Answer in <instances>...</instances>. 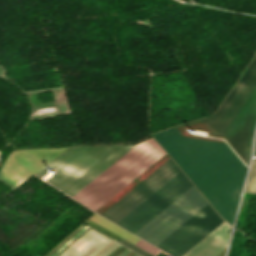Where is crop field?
<instances>
[{
    "instance_id": "1",
    "label": "crop field",
    "mask_w": 256,
    "mask_h": 256,
    "mask_svg": "<svg viewBox=\"0 0 256 256\" xmlns=\"http://www.w3.org/2000/svg\"><path fill=\"white\" fill-rule=\"evenodd\" d=\"M201 120L249 163L256 125V57L215 114ZM153 137L232 225L247 168L230 147L181 136L175 127Z\"/></svg>"
},
{
    "instance_id": "2",
    "label": "crop field",
    "mask_w": 256,
    "mask_h": 256,
    "mask_svg": "<svg viewBox=\"0 0 256 256\" xmlns=\"http://www.w3.org/2000/svg\"><path fill=\"white\" fill-rule=\"evenodd\" d=\"M132 146L67 148L35 175L41 178L55 169L46 182L72 197Z\"/></svg>"
},
{
    "instance_id": "3",
    "label": "crop field",
    "mask_w": 256,
    "mask_h": 256,
    "mask_svg": "<svg viewBox=\"0 0 256 256\" xmlns=\"http://www.w3.org/2000/svg\"><path fill=\"white\" fill-rule=\"evenodd\" d=\"M164 154L150 138L132 148L72 198L96 211Z\"/></svg>"
},
{
    "instance_id": "4",
    "label": "crop field",
    "mask_w": 256,
    "mask_h": 256,
    "mask_svg": "<svg viewBox=\"0 0 256 256\" xmlns=\"http://www.w3.org/2000/svg\"><path fill=\"white\" fill-rule=\"evenodd\" d=\"M205 204L193 185L134 234L156 246Z\"/></svg>"
},
{
    "instance_id": "5",
    "label": "crop field",
    "mask_w": 256,
    "mask_h": 256,
    "mask_svg": "<svg viewBox=\"0 0 256 256\" xmlns=\"http://www.w3.org/2000/svg\"><path fill=\"white\" fill-rule=\"evenodd\" d=\"M223 222L208 204L156 247L172 256H183Z\"/></svg>"
},
{
    "instance_id": "6",
    "label": "crop field",
    "mask_w": 256,
    "mask_h": 256,
    "mask_svg": "<svg viewBox=\"0 0 256 256\" xmlns=\"http://www.w3.org/2000/svg\"><path fill=\"white\" fill-rule=\"evenodd\" d=\"M192 185L181 171L117 224L134 233Z\"/></svg>"
},
{
    "instance_id": "7",
    "label": "crop field",
    "mask_w": 256,
    "mask_h": 256,
    "mask_svg": "<svg viewBox=\"0 0 256 256\" xmlns=\"http://www.w3.org/2000/svg\"><path fill=\"white\" fill-rule=\"evenodd\" d=\"M66 148L13 151L0 173V180L16 188Z\"/></svg>"
},
{
    "instance_id": "8",
    "label": "crop field",
    "mask_w": 256,
    "mask_h": 256,
    "mask_svg": "<svg viewBox=\"0 0 256 256\" xmlns=\"http://www.w3.org/2000/svg\"><path fill=\"white\" fill-rule=\"evenodd\" d=\"M180 171L179 167L170 159L102 216L117 223Z\"/></svg>"
},
{
    "instance_id": "9",
    "label": "crop field",
    "mask_w": 256,
    "mask_h": 256,
    "mask_svg": "<svg viewBox=\"0 0 256 256\" xmlns=\"http://www.w3.org/2000/svg\"><path fill=\"white\" fill-rule=\"evenodd\" d=\"M230 228L224 222L184 256H217L227 247Z\"/></svg>"
},
{
    "instance_id": "10",
    "label": "crop field",
    "mask_w": 256,
    "mask_h": 256,
    "mask_svg": "<svg viewBox=\"0 0 256 256\" xmlns=\"http://www.w3.org/2000/svg\"><path fill=\"white\" fill-rule=\"evenodd\" d=\"M89 219L95 221L96 223L102 225L103 227L107 228L108 230L114 232L115 234L121 236L122 238L132 242L133 244L138 241L140 238L134 236L133 234L127 232L126 230L118 227L117 225L111 223L110 221L104 219L103 217L94 214Z\"/></svg>"
},
{
    "instance_id": "11",
    "label": "crop field",
    "mask_w": 256,
    "mask_h": 256,
    "mask_svg": "<svg viewBox=\"0 0 256 256\" xmlns=\"http://www.w3.org/2000/svg\"><path fill=\"white\" fill-rule=\"evenodd\" d=\"M245 192L256 194V159H253L252 168L248 178Z\"/></svg>"
},
{
    "instance_id": "12",
    "label": "crop field",
    "mask_w": 256,
    "mask_h": 256,
    "mask_svg": "<svg viewBox=\"0 0 256 256\" xmlns=\"http://www.w3.org/2000/svg\"><path fill=\"white\" fill-rule=\"evenodd\" d=\"M85 223L88 224L89 226L93 227L94 229L106 234L107 236L117 240V241L121 238V237L115 235L114 233L108 231L107 229L103 228L102 226L96 224L95 222H93L89 219L87 221H85Z\"/></svg>"
},
{
    "instance_id": "13",
    "label": "crop field",
    "mask_w": 256,
    "mask_h": 256,
    "mask_svg": "<svg viewBox=\"0 0 256 256\" xmlns=\"http://www.w3.org/2000/svg\"><path fill=\"white\" fill-rule=\"evenodd\" d=\"M118 242L122 243L126 247L134 250L135 252H137V253H139V254H141L143 256H153L152 254H150V253H148V252H146V251H144V250L134 246L133 244L129 243L128 241H126V240H124L122 238Z\"/></svg>"
},
{
    "instance_id": "14",
    "label": "crop field",
    "mask_w": 256,
    "mask_h": 256,
    "mask_svg": "<svg viewBox=\"0 0 256 256\" xmlns=\"http://www.w3.org/2000/svg\"><path fill=\"white\" fill-rule=\"evenodd\" d=\"M135 245L143 248L144 250L152 253V254H157L160 250L156 249L155 247L151 246L150 244L146 243L145 241L143 240H139ZM153 255V256H154Z\"/></svg>"
},
{
    "instance_id": "15",
    "label": "crop field",
    "mask_w": 256,
    "mask_h": 256,
    "mask_svg": "<svg viewBox=\"0 0 256 256\" xmlns=\"http://www.w3.org/2000/svg\"><path fill=\"white\" fill-rule=\"evenodd\" d=\"M127 251V249L126 250H124L121 254H119L118 256H121L123 253H125Z\"/></svg>"
},
{
    "instance_id": "16",
    "label": "crop field",
    "mask_w": 256,
    "mask_h": 256,
    "mask_svg": "<svg viewBox=\"0 0 256 256\" xmlns=\"http://www.w3.org/2000/svg\"><path fill=\"white\" fill-rule=\"evenodd\" d=\"M254 153L256 154V142H255V150H254Z\"/></svg>"
},
{
    "instance_id": "17",
    "label": "crop field",
    "mask_w": 256,
    "mask_h": 256,
    "mask_svg": "<svg viewBox=\"0 0 256 256\" xmlns=\"http://www.w3.org/2000/svg\"><path fill=\"white\" fill-rule=\"evenodd\" d=\"M128 252H129V250H128L126 253H128ZM126 253H125V254H126ZM125 254H123L122 256H124Z\"/></svg>"
},
{
    "instance_id": "18",
    "label": "crop field",
    "mask_w": 256,
    "mask_h": 256,
    "mask_svg": "<svg viewBox=\"0 0 256 256\" xmlns=\"http://www.w3.org/2000/svg\"><path fill=\"white\" fill-rule=\"evenodd\" d=\"M134 256H139V255L135 254Z\"/></svg>"
},
{
    "instance_id": "19",
    "label": "crop field",
    "mask_w": 256,
    "mask_h": 256,
    "mask_svg": "<svg viewBox=\"0 0 256 256\" xmlns=\"http://www.w3.org/2000/svg\"><path fill=\"white\" fill-rule=\"evenodd\" d=\"M130 252H131V251H130ZM130 252H129V253H130ZM129 253H128V254H129ZM126 255H127V254H126ZM126 255H125V256H126Z\"/></svg>"
},
{
    "instance_id": "20",
    "label": "crop field",
    "mask_w": 256,
    "mask_h": 256,
    "mask_svg": "<svg viewBox=\"0 0 256 256\" xmlns=\"http://www.w3.org/2000/svg\"><path fill=\"white\" fill-rule=\"evenodd\" d=\"M169 256V255H168Z\"/></svg>"
}]
</instances>
